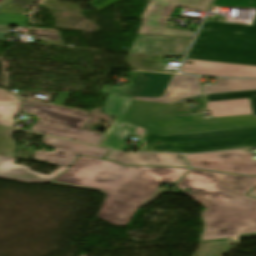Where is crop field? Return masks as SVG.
<instances>
[{"label": "crop field", "instance_id": "bc2a9ffb", "mask_svg": "<svg viewBox=\"0 0 256 256\" xmlns=\"http://www.w3.org/2000/svg\"><path fill=\"white\" fill-rule=\"evenodd\" d=\"M206 110L212 111V118L252 114L249 98L207 102Z\"/></svg>", "mask_w": 256, "mask_h": 256}, {"label": "crop field", "instance_id": "4177f3b9", "mask_svg": "<svg viewBox=\"0 0 256 256\" xmlns=\"http://www.w3.org/2000/svg\"><path fill=\"white\" fill-rule=\"evenodd\" d=\"M213 6L256 8V0H216Z\"/></svg>", "mask_w": 256, "mask_h": 256}, {"label": "crop field", "instance_id": "a9b5d70f", "mask_svg": "<svg viewBox=\"0 0 256 256\" xmlns=\"http://www.w3.org/2000/svg\"><path fill=\"white\" fill-rule=\"evenodd\" d=\"M207 101L250 97L253 116L256 117V90L205 95Z\"/></svg>", "mask_w": 256, "mask_h": 256}, {"label": "crop field", "instance_id": "8a807250", "mask_svg": "<svg viewBox=\"0 0 256 256\" xmlns=\"http://www.w3.org/2000/svg\"><path fill=\"white\" fill-rule=\"evenodd\" d=\"M77 160V159H76ZM184 168L125 167L115 162L81 156L55 184L96 190L106 195L98 217L115 225H128L135 210L161 193L157 186L174 183Z\"/></svg>", "mask_w": 256, "mask_h": 256}, {"label": "crop field", "instance_id": "750c4746", "mask_svg": "<svg viewBox=\"0 0 256 256\" xmlns=\"http://www.w3.org/2000/svg\"><path fill=\"white\" fill-rule=\"evenodd\" d=\"M116 154H117V152H115V151H110L109 154L106 156L105 159L113 160V158L115 157Z\"/></svg>", "mask_w": 256, "mask_h": 256}, {"label": "crop field", "instance_id": "22f410ed", "mask_svg": "<svg viewBox=\"0 0 256 256\" xmlns=\"http://www.w3.org/2000/svg\"><path fill=\"white\" fill-rule=\"evenodd\" d=\"M180 70L183 73H193L198 75L206 74L207 76L256 77L255 66L196 60H185Z\"/></svg>", "mask_w": 256, "mask_h": 256}, {"label": "crop field", "instance_id": "730fd06b", "mask_svg": "<svg viewBox=\"0 0 256 256\" xmlns=\"http://www.w3.org/2000/svg\"><path fill=\"white\" fill-rule=\"evenodd\" d=\"M31 33L34 35V38L63 40L62 37L59 35L58 31L52 29L32 28Z\"/></svg>", "mask_w": 256, "mask_h": 256}, {"label": "crop field", "instance_id": "e52e79f7", "mask_svg": "<svg viewBox=\"0 0 256 256\" xmlns=\"http://www.w3.org/2000/svg\"><path fill=\"white\" fill-rule=\"evenodd\" d=\"M25 113L34 114L39 121L32 131L69 138L77 141L98 145L102 136L93 132L81 130L90 119L80 111L46 104L27 98Z\"/></svg>", "mask_w": 256, "mask_h": 256}, {"label": "crop field", "instance_id": "4a817a6b", "mask_svg": "<svg viewBox=\"0 0 256 256\" xmlns=\"http://www.w3.org/2000/svg\"><path fill=\"white\" fill-rule=\"evenodd\" d=\"M37 0H13L0 9V25L26 26L27 14Z\"/></svg>", "mask_w": 256, "mask_h": 256}, {"label": "crop field", "instance_id": "733c2abd", "mask_svg": "<svg viewBox=\"0 0 256 256\" xmlns=\"http://www.w3.org/2000/svg\"><path fill=\"white\" fill-rule=\"evenodd\" d=\"M113 161L122 165L188 167L181 155L118 152Z\"/></svg>", "mask_w": 256, "mask_h": 256}, {"label": "crop field", "instance_id": "412701ff", "mask_svg": "<svg viewBox=\"0 0 256 256\" xmlns=\"http://www.w3.org/2000/svg\"><path fill=\"white\" fill-rule=\"evenodd\" d=\"M240 145L256 147V127L168 136L146 130L141 151L201 152L231 149Z\"/></svg>", "mask_w": 256, "mask_h": 256}, {"label": "crop field", "instance_id": "d9b57169", "mask_svg": "<svg viewBox=\"0 0 256 256\" xmlns=\"http://www.w3.org/2000/svg\"><path fill=\"white\" fill-rule=\"evenodd\" d=\"M14 158L0 156V178L23 182H50L54 177L66 170L68 167L61 166L49 176L31 171L26 166L13 164Z\"/></svg>", "mask_w": 256, "mask_h": 256}, {"label": "crop field", "instance_id": "d32e631a", "mask_svg": "<svg viewBox=\"0 0 256 256\" xmlns=\"http://www.w3.org/2000/svg\"><path fill=\"white\" fill-rule=\"evenodd\" d=\"M6 35H7V33L0 32V40H4Z\"/></svg>", "mask_w": 256, "mask_h": 256}, {"label": "crop field", "instance_id": "d8731c3e", "mask_svg": "<svg viewBox=\"0 0 256 256\" xmlns=\"http://www.w3.org/2000/svg\"><path fill=\"white\" fill-rule=\"evenodd\" d=\"M212 0H151L142 16L138 34L192 37V32L164 28L176 5L207 11Z\"/></svg>", "mask_w": 256, "mask_h": 256}, {"label": "crop field", "instance_id": "dafd665d", "mask_svg": "<svg viewBox=\"0 0 256 256\" xmlns=\"http://www.w3.org/2000/svg\"><path fill=\"white\" fill-rule=\"evenodd\" d=\"M161 59V56L129 53L127 64H129L132 69L154 71L158 67Z\"/></svg>", "mask_w": 256, "mask_h": 256}, {"label": "crop field", "instance_id": "dd49c442", "mask_svg": "<svg viewBox=\"0 0 256 256\" xmlns=\"http://www.w3.org/2000/svg\"><path fill=\"white\" fill-rule=\"evenodd\" d=\"M201 241L256 235V199L242 196L202 212Z\"/></svg>", "mask_w": 256, "mask_h": 256}, {"label": "crop field", "instance_id": "28ad6ade", "mask_svg": "<svg viewBox=\"0 0 256 256\" xmlns=\"http://www.w3.org/2000/svg\"><path fill=\"white\" fill-rule=\"evenodd\" d=\"M132 98L133 97L127 96H109L103 108V112L124 118ZM145 130L146 129L140 128L123 120L116 134H106L102 143L100 142V146L121 150L124 145L123 142L128 138V136L143 139Z\"/></svg>", "mask_w": 256, "mask_h": 256}, {"label": "crop field", "instance_id": "120bbe31", "mask_svg": "<svg viewBox=\"0 0 256 256\" xmlns=\"http://www.w3.org/2000/svg\"><path fill=\"white\" fill-rule=\"evenodd\" d=\"M0 31H8V26H0Z\"/></svg>", "mask_w": 256, "mask_h": 256}, {"label": "crop field", "instance_id": "00972430", "mask_svg": "<svg viewBox=\"0 0 256 256\" xmlns=\"http://www.w3.org/2000/svg\"><path fill=\"white\" fill-rule=\"evenodd\" d=\"M23 132L31 135H38V136H43L19 129H12L9 127L1 126L0 125V155L6 156L8 151H15L17 148V144L12 138L13 132Z\"/></svg>", "mask_w": 256, "mask_h": 256}, {"label": "crop field", "instance_id": "5142ce71", "mask_svg": "<svg viewBox=\"0 0 256 256\" xmlns=\"http://www.w3.org/2000/svg\"><path fill=\"white\" fill-rule=\"evenodd\" d=\"M202 91L196 77L173 75L162 98L134 97L136 100L169 103L179 99L201 95Z\"/></svg>", "mask_w": 256, "mask_h": 256}, {"label": "crop field", "instance_id": "eef30255", "mask_svg": "<svg viewBox=\"0 0 256 256\" xmlns=\"http://www.w3.org/2000/svg\"><path fill=\"white\" fill-rule=\"evenodd\" d=\"M119 1H122V0H92L87 4L92 6L93 8H95L97 10H101V9H103L105 7H108L112 4H115Z\"/></svg>", "mask_w": 256, "mask_h": 256}, {"label": "crop field", "instance_id": "214f88e0", "mask_svg": "<svg viewBox=\"0 0 256 256\" xmlns=\"http://www.w3.org/2000/svg\"><path fill=\"white\" fill-rule=\"evenodd\" d=\"M21 99L5 89H0V124L13 127V117L19 115Z\"/></svg>", "mask_w": 256, "mask_h": 256}, {"label": "crop field", "instance_id": "f4fd0767", "mask_svg": "<svg viewBox=\"0 0 256 256\" xmlns=\"http://www.w3.org/2000/svg\"><path fill=\"white\" fill-rule=\"evenodd\" d=\"M177 185L208 209L246 194L256 177L191 170Z\"/></svg>", "mask_w": 256, "mask_h": 256}, {"label": "crop field", "instance_id": "34b2d1b8", "mask_svg": "<svg viewBox=\"0 0 256 256\" xmlns=\"http://www.w3.org/2000/svg\"><path fill=\"white\" fill-rule=\"evenodd\" d=\"M189 114L173 111L168 104L133 100L125 120L160 135L256 126L252 115L201 120Z\"/></svg>", "mask_w": 256, "mask_h": 256}, {"label": "crop field", "instance_id": "bd1437ed", "mask_svg": "<svg viewBox=\"0 0 256 256\" xmlns=\"http://www.w3.org/2000/svg\"><path fill=\"white\" fill-rule=\"evenodd\" d=\"M11 0H0V7L9 3Z\"/></svg>", "mask_w": 256, "mask_h": 256}, {"label": "crop field", "instance_id": "3316defc", "mask_svg": "<svg viewBox=\"0 0 256 256\" xmlns=\"http://www.w3.org/2000/svg\"><path fill=\"white\" fill-rule=\"evenodd\" d=\"M43 143L55 147L53 152L35 151L34 158L41 162L70 166L79 155L102 158L106 149L82 145L50 136H46Z\"/></svg>", "mask_w": 256, "mask_h": 256}, {"label": "crop field", "instance_id": "ae1a2a85", "mask_svg": "<svg viewBox=\"0 0 256 256\" xmlns=\"http://www.w3.org/2000/svg\"><path fill=\"white\" fill-rule=\"evenodd\" d=\"M69 95L70 93H67V92H59L55 100L53 101V103L63 105V103L65 102V100L68 98Z\"/></svg>", "mask_w": 256, "mask_h": 256}, {"label": "crop field", "instance_id": "cbeb9de0", "mask_svg": "<svg viewBox=\"0 0 256 256\" xmlns=\"http://www.w3.org/2000/svg\"><path fill=\"white\" fill-rule=\"evenodd\" d=\"M172 75L134 72L123 95L161 97Z\"/></svg>", "mask_w": 256, "mask_h": 256}, {"label": "crop field", "instance_id": "ac0d7876", "mask_svg": "<svg viewBox=\"0 0 256 256\" xmlns=\"http://www.w3.org/2000/svg\"><path fill=\"white\" fill-rule=\"evenodd\" d=\"M187 57L256 66V17L252 25L205 21Z\"/></svg>", "mask_w": 256, "mask_h": 256}, {"label": "crop field", "instance_id": "5a996713", "mask_svg": "<svg viewBox=\"0 0 256 256\" xmlns=\"http://www.w3.org/2000/svg\"><path fill=\"white\" fill-rule=\"evenodd\" d=\"M253 153L242 150L186 155L192 168L256 176Z\"/></svg>", "mask_w": 256, "mask_h": 256}, {"label": "crop field", "instance_id": "92a150f3", "mask_svg": "<svg viewBox=\"0 0 256 256\" xmlns=\"http://www.w3.org/2000/svg\"><path fill=\"white\" fill-rule=\"evenodd\" d=\"M205 94L256 89V80L216 79V85L204 86Z\"/></svg>", "mask_w": 256, "mask_h": 256}, {"label": "crop field", "instance_id": "d3111659", "mask_svg": "<svg viewBox=\"0 0 256 256\" xmlns=\"http://www.w3.org/2000/svg\"><path fill=\"white\" fill-rule=\"evenodd\" d=\"M121 121H122L121 118L116 117V119L113 121V123L109 127L107 133L115 134V132H116L117 128L119 127Z\"/></svg>", "mask_w": 256, "mask_h": 256}, {"label": "crop field", "instance_id": "d1516ede", "mask_svg": "<svg viewBox=\"0 0 256 256\" xmlns=\"http://www.w3.org/2000/svg\"><path fill=\"white\" fill-rule=\"evenodd\" d=\"M190 38L138 35L129 52L182 56Z\"/></svg>", "mask_w": 256, "mask_h": 256}, {"label": "crop field", "instance_id": "1d83c4d3", "mask_svg": "<svg viewBox=\"0 0 256 256\" xmlns=\"http://www.w3.org/2000/svg\"><path fill=\"white\" fill-rule=\"evenodd\" d=\"M249 196H253L256 197V189H254L253 191H251L250 193H248Z\"/></svg>", "mask_w": 256, "mask_h": 256}]
</instances>
